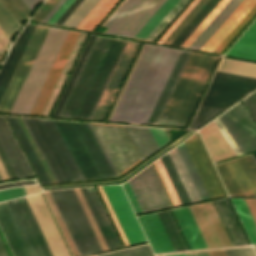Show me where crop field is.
I'll return each mask as SVG.
<instances>
[{"label": "crop field", "instance_id": "8a807250", "mask_svg": "<svg viewBox=\"0 0 256 256\" xmlns=\"http://www.w3.org/2000/svg\"><path fill=\"white\" fill-rule=\"evenodd\" d=\"M179 52L144 44L106 121L145 124Z\"/></svg>", "mask_w": 256, "mask_h": 256}, {"label": "crop field", "instance_id": "ac0d7876", "mask_svg": "<svg viewBox=\"0 0 256 256\" xmlns=\"http://www.w3.org/2000/svg\"><path fill=\"white\" fill-rule=\"evenodd\" d=\"M41 122L73 180L117 176L89 124Z\"/></svg>", "mask_w": 256, "mask_h": 256}, {"label": "crop field", "instance_id": "34b2d1b8", "mask_svg": "<svg viewBox=\"0 0 256 256\" xmlns=\"http://www.w3.org/2000/svg\"><path fill=\"white\" fill-rule=\"evenodd\" d=\"M125 43L96 37L58 116L91 117Z\"/></svg>", "mask_w": 256, "mask_h": 256}, {"label": "crop field", "instance_id": "412701ff", "mask_svg": "<svg viewBox=\"0 0 256 256\" xmlns=\"http://www.w3.org/2000/svg\"><path fill=\"white\" fill-rule=\"evenodd\" d=\"M220 118L238 155L256 150V124L241 102ZM220 118L199 130L214 162L237 155Z\"/></svg>", "mask_w": 256, "mask_h": 256}, {"label": "crop field", "instance_id": "f4fd0767", "mask_svg": "<svg viewBox=\"0 0 256 256\" xmlns=\"http://www.w3.org/2000/svg\"><path fill=\"white\" fill-rule=\"evenodd\" d=\"M216 59L191 54L158 124L185 126Z\"/></svg>", "mask_w": 256, "mask_h": 256}, {"label": "crop field", "instance_id": "dd49c442", "mask_svg": "<svg viewBox=\"0 0 256 256\" xmlns=\"http://www.w3.org/2000/svg\"><path fill=\"white\" fill-rule=\"evenodd\" d=\"M68 32L50 29L9 113L29 114Z\"/></svg>", "mask_w": 256, "mask_h": 256}, {"label": "crop field", "instance_id": "e52e79f7", "mask_svg": "<svg viewBox=\"0 0 256 256\" xmlns=\"http://www.w3.org/2000/svg\"><path fill=\"white\" fill-rule=\"evenodd\" d=\"M80 255L102 251L72 189L49 191Z\"/></svg>", "mask_w": 256, "mask_h": 256}, {"label": "crop field", "instance_id": "d8731c3e", "mask_svg": "<svg viewBox=\"0 0 256 256\" xmlns=\"http://www.w3.org/2000/svg\"><path fill=\"white\" fill-rule=\"evenodd\" d=\"M91 126L117 174L140 159L124 127Z\"/></svg>", "mask_w": 256, "mask_h": 256}, {"label": "crop field", "instance_id": "5a996713", "mask_svg": "<svg viewBox=\"0 0 256 256\" xmlns=\"http://www.w3.org/2000/svg\"><path fill=\"white\" fill-rule=\"evenodd\" d=\"M251 157L256 163L253 154ZM251 157L248 155L215 166L229 195L256 196V164Z\"/></svg>", "mask_w": 256, "mask_h": 256}, {"label": "crop field", "instance_id": "3316defc", "mask_svg": "<svg viewBox=\"0 0 256 256\" xmlns=\"http://www.w3.org/2000/svg\"><path fill=\"white\" fill-rule=\"evenodd\" d=\"M49 28L37 25L29 43L21 57V60L12 76V79L0 102V112L8 113L28 72L29 69L48 33Z\"/></svg>", "mask_w": 256, "mask_h": 256}, {"label": "crop field", "instance_id": "28ad6ade", "mask_svg": "<svg viewBox=\"0 0 256 256\" xmlns=\"http://www.w3.org/2000/svg\"><path fill=\"white\" fill-rule=\"evenodd\" d=\"M128 183L143 212L171 206L152 165Z\"/></svg>", "mask_w": 256, "mask_h": 256}, {"label": "crop field", "instance_id": "d1516ede", "mask_svg": "<svg viewBox=\"0 0 256 256\" xmlns=\"http://www.w3.org/2000/svg\"><path fill=\"white\" fill-rule=\"evenodd\" d=\"M189 210L208 248L232 246L211 202Z\"/></svg>", "mask_w": 256, "mask_h": 256}, {"label": "crop field", "instance_id": "22f410ed", "mask_svg": "<svg viewBox=\"0 0 256 256\" xmlns=\"http://www.w3.org/2000/svg\"><path fill=\"white\" fill-rule=\"evenodd\" d=\"M130 245L146 241L120 185L102 186Z\"/></svg>", "mask_w": 256, "mask_h": 256}, {"label": "crop field", "instance_id": "cbeb9de0", "mask_svg": "<svg viewBox=\"0 0 256 256\" xmlns=\"http://www.w3.org/2000/svg\"><path fill=\"white\" fill-rule=\"evenodd\" d=\"M139 44L128 41L90 120L102 121Z\"/></svg>", "mask_w": 256, "mask_h": 256}, {"label": "crop field", "instance_id": "5142ce71", "mask_svg": "<svg viewBox=\"0 0 256 256\" xmlns=\"http://www.w3.org/2000/svg\"><path fill=\"white\" fill-rule=\"evenodd\" d=\"M184 144L190 154V157L197 169V172L209 197L213 198L225 195L196 135H193L184 141Z\"/></svg>", "mask_w": 256, "mask_h": 256}, {"label": "crop field", "instance_id": "d9b57169", "mask_svg": "<svg viewBox=\"0 0 256 256\" xmlns=\"http://www.w3.org/2000/svg\"><path fill=\"white\" fill-rule=\"evenodd\" d=\"M166 0H142L112 34L132 39Z\"/></svg>", "mask_w": 256, "mask_h": 256}, {"label": "crop field", "instance_id": "733c2abd", "mask_svg": "<svg viewBox=\"0 0 256 256\" xmlns=\"http://www.w3.org/2000/svg\"><path fill=\"white\" fill-rule=\"evenodd\" d=\"M78 34L77 32H69L29 115H40Z\"/></svg>", "mask_w": 256, "mask_h": 256}, {"label": "crop field", "instance_id": "4a817a6b", "mask_svg": "<svg viewBox=\"0 0 256 256\" xmlns=\"http://www.w3.org/2000/svg\"><path fill=\"white\" fill-rule=\"evenodd\" d=\"M0 230L13 256H31L6 202L0 203Z\"/></svg>", "mask_w": 256, "mask_h": 256}, {"label": "crop field", "instance_id": "bc2a9ffb", "mask_svg": "<svg viewBox=\"0 0 256 256\" xmlns=\"http://www.w3.org/2000/svg\"><path fill=\"white\" fill-rule=\"evenodd\" d=\"M0 144L17 178L33 176L2 117H0Z\"/></svg>", "mask_w": 256, "mask_h": 256}, {"label": "crop field", "instance_id": "214f88e0", "mask_svg": "<svg viewBox=\"0 0 256 256\" xmlns=\"http://www.w3.org/2000/svg\"><path fill=\"white\" fill-rule=\"evenodd\" d=\"M137 219L154 253L174 251L156 213Z\"/></svg>", "mask_w": 256, "mask_h": 256}, {"label": "crop field", "instance_id": "92a150f3", "mask_svg": "<svg viewBox=\"0 0 256 256\" xmlns=\"http://www.w3.org/2000/svg\"><path fill=\"white\" fill-rule=\"evenodd\" d=\"M36 25L27 24L13 44L0 71V99Z\"/></svg>", "mask_w": 256, "mask_h": 256}, {"label": "crop field", "instance_id": "dafd665d", "mask_svg": "<svg viewBox=\"0 0 256 256\" xmlns=\"http://www.w3.org/2000/svg\"><path fill=\"white\" fill-rule=\"evenodd\" d=\"M255 3L256 0H243L200 50L212 53Z\"/></svg>", "mask_w": 256, "mask_h": 256}, {"label": "crop field", "instance_id": "00972430", "mask_svg": "<svg viewBox=\"0 0 256 256\" xmlns=\"http://www.w3.org/2000/svg\"><path fill=\"white\" fill-rule=\"evenodd\" d=\"M189 54V52H180L146 124L156 125Z\"/></svg>", "mask_w": 256, "mask_h": 256}, {"label": "crop field", "instance_id": "a9b5d70f", "mask_svg": "<svg viewBox=\"0 0 256 256\" xmlns=\"http://www.w3.org/2000/svg\"><path fill=\"white\" fill-rule=\"evenodd\" d=\"M189 208V207H188ZM187 207L171 210L190 250L207 248Z\"/></svg>", "mask_w": 256, "mask_h": 256}, {"label": "crop field", "instance_id": "4177f3b9", "mask_svg": "<svg viewBox=\"0 0 256 256\" xmlns=\"http://www.w3.org/2000/svg\"><path fill=\"white\" fill-rule=\"evenodd\" d=\"M232 245L248 244L226 199L212 202Z\"/></svg>", "mask_w": 256, "mask_h": 256}, {"label": "crop field", "instance_id": "730fd06b", "mask_svg": "<svg viewBox=\"0 0 256 256\" xmlns=\"http://www.w3.org/2000/svg\"><path fill=\"white\" fill-rule=\"evenodd\" d=\"M17 138L19 139L29 161L31 162L41 184L51 183L48 175L46 174L42 164L40 163L37 155L35 154L32 146L30 145L27 137L25 136L21 126L19 125L16 117L7 116Z\"/></svg>", "mask_w": 256, "mask_h": 256}, {"label": "crop field", "instance_id": "eef30255", "mask_svg": "<svg viewBox=\"0 0 256 256\" xmlns=\"http://www.w3.org/2000/svg\"><path fill=\"white\" fill-rule=\"evenodd\" d=\"M226 55L256 61V20Z\"/></svg>", "mask_w": 256, "mask_h": 256}, {"label": "crop field", "instance_id": "ae1a2a85", "mask_svg": "<svg viewBox=\"0 0 256 256\" xmlns=\"http://www.w3.org/2000/svg\"><path fill=\"white\" fill-rule=\"evenodd\" d=\"M241 1L242 0H230L188 48L199 50Z\"/></svg>", "mask_w": 256, "mask_h": 256}, {"label": "crop field", "instance_id": "d3111659", "mask_svg": "<svg viewBox=\"0 0 256 256\" xmlns=\"http://www.w3.org/2000/svg\"><path fill=\"white\" fill-rule=\"evenodd\" d=\"M117 1L118 0H100L76 28L92 31Z\"/></svg>", "mask_w": 256, "mask_h": 256}, {"label": "crop field", "instance_id": "750c4746", "mask_svg": "<svg viewBox=\"0 0 256 256\" xmlns=\"http://www.w3.org/2000/svg\"><path fill=\"white\" fill-rule=\"evenodd\" d=\"M168 154H169V156H170V158L180 176V179H181L191 201L194 202V201L201 200L189 175H188V172H187L176 148L169 151Z\"/></svg>", "mask_w": 256, "mask_h": 256}, {"label": "crop field", "instance_id": "bd1437ed", "mask_svg": "<svg viewBox=\"0 0 256 256\" xmlns=\"http://www.w3.org/2000/svg\"><path fill=\"white\" fill-rule=\"evenodd\" d=\"M37 256H46L19 199L11 201Z\"/></svg>", "mask_w": 256, "mask_h": 256}, {"label": "crop field", "instance_id": "1d83c4d3", "mask_svg": "<svg viewBox=\"0 0 256 256\" xmlns=\"http://www.w3.org/2000/svg\"><path fill=\"white\" fill-rule=\"evenodd\" d=\"M252 244H256V225L243 199L230 198Z\"/></svg>", "mask_w": 256, "mask_h": 256}, {"label": "crop field", "instance_id": "120bbe31", "mask_svg": "<svg viewBox=\"0 0 256 256\" xmlns=\"http://www.w3.org/2000/svg\"><path fill=\"white\" fill-rule=\"evenodd\" d=\"M178 1L179 0H167L157 11V13L150 19V21L143 27V29L136 35L135 39L144 40Z\"/></svg>", "mask_w": 256, "mask_h": 256}, {"label": "crop field", "instance_id": "d32e631a", "mask_svg": "<svg viewBox=\"0 0 256 256\" xmlns=\"http://www.w3.org/2000/svg\"><path fill=\"white\" fill-rule=\"evenodd\" d=\"M89 194H90V196H91V198H92V200L95 204V207H96V209H97V211H98V213H99V215L102 219V222H103V224H104V226H105V228L108 232V235H109L114 247L115 248L121 247L122 245H121V243H120V241H119V239L116 235V232H115V230H114V228H113V226H112V224L109 220V217H108V215H107V213H106V211L103 207V204H102L97 192L94 191V192H90Z\"/></svg>", "mask_w": 256, "mask_h": 256}, {"label": "crop field", "instance_id": "5866460e", "mask_svg": "<svg viewBox=\"0 0 256 256\" xmlns=\"http://www.w3.org/2000/svg\"><path fill=\"white\" fill-rule=\"evenodd\" d=\"M0 28L11 40L20 28V25L0 1Z\"/></svg>", "mask_w": 256, "mask_h": 256}, {"label": "crop field", "instance_id": "028f5c9d", "mask_svg": "<svg viewBox=\"0 0 256 256\" xmlns=\"http://www.w3.org/2000/svg\"><path fill=\"white\" fill-rule=\"evenodd\" d=\"M99 0H84L72 15L62 25L64 27L75 28L88 12L97 4Z\"/></svg>", "mask_w": 256, "mask_h": 256}, {"label": "crop field", "instance_id": "e1f06a70", "mask_svg": "<svg viewBox=\"0 0 256 256\" xmlns=\"http://www.w3.org/2000/svg\"><path fill=\"white\" fill-rule=\"evenodd\" d=\"M193 132H194V131L188 132L186 135H184L183 137H181L180 139H178L176 142H174L173 144H171L170 146H168L166 149H164L163 151H161V152H160L159 154H157L155 157H153L152 159H150V160L147 161L146 163L142 164L141 166H139L138 168H136L135 170H133L132 172H130L129 174H127L125 177H123V178L120 179V180L104 181V182H93V183H82V184H72V185H62V186H53V187H45V188H42V190L122 182V181H124L125 179H127L129 176H131L132 174H134L135 172H137L138 170H140L142 167H144L145 165H147L148 163H150L151 161H153L155 158H157L158 156H160L161 154H163L165 151H167L168 149H170L171 147H173L174 145H176L178 142H180L181 140H183L184 138H186L187 136H189V135H190L191 133H193Z\"/></svg>", "mask_w": 256, "mask_h": 256}, {"label": "crop field", "instance_id": "0bd39190", "mask_svg": "<svg viewBox=\"0 0 256 256\" xmlns=\"http://www.w3.org/2000/svg\"><path fill=\"white\" fill-rule=\"evenodd\" d=\"M256 15V4L246 14V16L239 22V24L231 31V33L223 40V42L216 48L213 53L221 54L224 49L232 42V40L241 32V30L249 23V21Z\"/></svg>", "mask_w": 256, "mask_h": 256}, {"label": "crop field", "instance_id": "b80d0937", "mask_svg": "<svg viewBox=\"0 0 256 256\" xmlns=\"http://www.w3.org/2000/svg\"><path fill=\"white\" fill-rule=\"evenodd\" d=\"M223 109L208 107L201 105L191 126L190 129H197L200 126H202L204 123L218 115L220 112H222Z\"/></svg>", "mask_w": 256, "mask_h": 256}, {"label": "crop field", "instance_id": "c035e120", "mask_svg": "<svg viewBox=\"0 0 256 256\" xmlns=\"http://www.w3.org/2000/svg\"><path fill=\"white\" fill-rule=\"evenodd\" d=\"M94 38H95V36H93V35L90 36V38H89V40H88V42H87V44H86V46H85V48L83 50V53H82V55H81L77 65L75 67V70H74V72H73V74H72V76H71V78H70V80L68 82V85H67V87H66V89H65V91H64V93H63V95H62V97L60 99V102H59V104H58V106H57V108H56V110H55V112H54L52 117H56L57 116V114H58V112H59V110H60V108H61V106H62V104H63V102H64V100H65V98H66V96H67V94H68V92H69L73 82H74V80H75V78H76V75H77V73H78V71H79V69H80V67H81V65H82V63H83V61H84V59L86 57V54H87V52H88V50H89V48H90Z\"/></svg>", "mask_w": 256, "mask_h": 256}, {"label": "crop field", "instance_id": "c21b1889", "mask_svg": "<svg viewBox=\"0 0 256 256\" xmlns=\"http://www.w3.org/2000/svg\"><path fill=\"white\" fill-rule=\"evenodd\" d=\"M188 1L189 0H180L176 4V6L169 12V14L162 20V22L155 28V30L148 36L146 41L153 42Z\"/></svg>", "mask_w": 256, "mask_h": 256}, {"label": "crop field", "instance_id": "03da06ac", "mask_svg": "<svg viewBox=\"0 0 256 256\" xmlns=\"http://www.w3.org/2000/svg\"><path fill=\"white\" fill-rule=\"evenodd\" d=\"M209 0H201L195 8L187 15V17L180 23V25L173 31V33L166 39L163 44L170 45L173 40L181 33V31L189 24V22L197 15V13L205 6Z\"/></svg>", "mask_w": 256, "mask_h": 256}, {"label": "crop field", "instance_id": "b54c1fbb", "mask_svg": "<svg viewBox=\"0 0 256 256\" xmlns=\"http://www.w3.org/2000/svg\"><path fill=\"white\" fill-rule=\"evenodd\" d=\"M228 1L229 0H221L220 3L213 9V11L206 17V19L199 25V27L197 26L198 28L192 33V35L190 34L191 36L185 41V43H182V46L188 47Z\"/></svg>", "mask_w": 256, "mask_h": 256}, {"label": "crop field", "instance_id": "5d738f31", "mask_svg": "<svg viewBox=\"0 0 256 256\" xmlns=\"http://www.w3.org/2000/svg\"><path fill=\"white\" fill-rule=\"evenodd\" d=\"M97 256H153L148 245L111 252Z\"/></svg>", "mask_w": 256, "mask_h": 256}, {"label": "crop field", "instance_id": "d23c7cc5", "mask_svg": "<svg viewBox=\"0 0 256 256\" xmlns=\"http://www.w3.org/2000/svg\"><path fill=\"white\" fill-rule=\"evenodd\" d=\"M109 249L114 248L85 188H80Z\"/></svg>", "mask_w": 256, "mask_h": 256}, {"label": "crop field", "instance_id": "425ffa30", "mask_svg": "<svg viewBox=\"0 0 256 256\" xmlns=\"http://www.w3.org/2000/svg\"><path fill=\"white\" fill-rule=\"evenodd\" d=\"M20 200H21V202H22V204H23V206H24V208H25V210H26V212L28 214V217H29V219H30V221H31L35 231H36V234H37V236H38V238H39V240H40V242H41V244L43 246V249H44L46 255L47 256H53L51 251H50V249H49V247H48V245H47V243H46V241H45V239H44V237H43V235H42V233H41V231H40V228H39V226H38V224H37V222H36L32 212H31V210H30V208H29V206H28V204H27V202L25 200V198L23 197Z\"/></svg>", "mask_w": 256, "mask_h": 256}, {"label": "crop field", "instance_id": "25e5ab78", "mask_svg": "<svg viewBox=\"0 0 256 256\" xmlns=\"http://www.w3.org/2000/svg\"><path fill=\"white\" fill-rule=\"evenodd\" d=\"M27 195L23 187L12 188L0 191V201L17 198Z\"/></svg>", "mask_w": 256, "mask_h": 256}, {"label": "crop field", "instance_id": "73cf0c24", "mask_svg": "<svg viewBox=\"0 0 256 256\" xmlns=\"http://www.w3.org/2000/svg\"><path fill=\"white\" fill-rule=\"evenodd\" d=\"M139 1L140 0H133L118 17V19L109 27L105 34L111 35L115 28L123 21V19L130 13V11L138 4Z\"/></svg>", "mask_w": 256, "mask_h": 256}, {"label": "crop field", "instance_id": "89e229c0", "mask_svg": "<svg viewBox=\"0 0 256 256\" xmlns=\"http://www.w3.org/2000/svg\"><path fill=\"white\" fill-rule=\"evenodd\" d=\"M149 130L157 142L159 148L169 142L163 129L149 128Z\"/></svg>", "mask_w": 256, "mask_h": 256}, {"label": "crop field", "instance_id": "1f2cbd36", "mask_svg": "<svg viewBox=\"0 0 256 256\" xmlns=\"http://www.w3.org/2000/svg\"><path fill=\"white\" fill-rule=\"evenodd\" d=\"M200 0H195L190 7L182 14V16L175 22V24L168 30V32L161 38V40L158 42L159 44H162L163 41L171 34V32L179 25V23L186 17V15L194 8V6L199 2Z\"/></svg>", "mask_w": 256, "mask_h": 256}, {"label": "crop field", "instance_id": "dbb93151", "mask_svg": "<svg viewBox=\"0 0 256 256\" xmlns=\"http://www.w3.org/2000/svg\"><path fill=\"white\" fill-rule=\"evenodd\" d=\"M58 0H48L33 16L32 19L40 21Z\"/></svg>", "mask_w": 256, "mask_h": 256}, {"label": "crop field", "instance_id": "0fb4a251", "mask_svg": "<svg viewBox=\"0 0 256 256\" xmlns=\"http://www.w3.org/2000/svg\"><path fill=\"white\" fill-rule=\"evenodd\" d=\"M122 187H123V189H124L128 199H129V201H130V203H131L135 213H140L141 209H140V207H139V205H138V203H137V201H136V199H135V197H134V195H133V193H132L128 183L123 184Z\"/></svg>", "mask_w": 256, "mask_h": 256}, {"label": "crop field", "instance_id": "1d79db26", "mask_svg": "<svg viewBox=\"0 0 256 256\" xmlns=\"http://www.w3.org/2000/svg\"><path fill=\"white\" fill-rule=\"evenodd\" d=\"M83 0H75L54 25L61 26Z\"/></svg>", "mask_w": 256, "mask_h": 256}, {"label": "crop field", "instance_id": "9d1cf04e", "mask_svg": "<svg viewBox=\"0 0 256 256\" xmlns=\"http://www.w3.org/2000/svg\"><path fill=\"white\" fill-rule=\"evenodd\" d=\"M7 203H8V205H9V207H10V209H11V211H12L14 217H15V220H16V222H17V224H18V226H19V228H20V230H21V232H22V234H23V237H24V239H25V241H26V243H27V245H28V247H29V249H30V252H31L32 256H36L35 253H34V251H33L32 246H31V244H30V242H29V240H28V238H27V236H26V234H25V231H24V229H23V227H22V225H21V223H20V221H19V219H18V216H17V214H16V212H15V210H14L12 204H11V202L8 201Z\"/></svg>", "mask_w": 256, "mask_h": 256}, {"label": "crop field", "instance_id": "447ae74e", "mask_svg": "<svg viewBox=\"0 0 256 256\" xmlns=\"http://www.w3.org/2000/svg\"><path fill=\"white\" fill-rule=\"evenodd\" d=\"M74 0H67L60 8L59 10L50 18V20L47 22V24L53 25L56 20L63 14V12L70 6V4Z\"/></svg>", "mask_w": 256, "mask_h": 256}, {"label": "crop field", "instance_id": "0765c3eb", "mask_svg": "<svg viewBox=\"0 0 256 256\" xmlns=\"http://www.w3.org/2000/svg\"><path fill=\"white\" fill-rule=\"evenodd\" d=\"M11 2L16 6V8L21 12V14L28 19L30 18L28 15L31 13L29 9L24 5L21 0H11Z\"/></svg>", "mask_w": 256, "mask_h": 256}, {"label": "crop field", "instance_id": "db79e9e6", "mask_svg": "<svg viewBox=\"0 0 256 256\" xmlns=\"http://www.w3.org/2000/svg\"><path fill=\"white\" fill-rule=\"evenodd\" d=\"M0 159H1L2 163H3V165H4V168H5L8 176H9V178L10 179L16 178L14 173H13V171H12V169H11V167H10V165H9V163H8V161H7V159H6V156H5L1 146H0Z\"/></svg>", "mask_w": 256, "mask_h": 256}, {"label": "crop field", "instance_id": "7b73153f", "mask_svg": "<svg viewBox=\"0 0 256 256\" xmlns=\"http://www.w3.org/2000/svg\"><path fill=\"white\" fill-rule=\"evenodd\" d=\"M2 2L7 6V8L11 11V13L15 16V18L21 22L23 21L22 15L18 12V10L13 6V4L9 0H2Z\"/></svg>", "mask_w": 256, "mask_h": 256}, {"label": "crop field", "instance_id": "78b8030e", "mask_svg": "<svg viewBox=\"0 0 256 256\" xmlns=\"http://www.w3.org/2000/svg\"><path fill=\"white\" fill-rule=\"evenodd\" d=\"M132 0H126L121 7L110 17V19L103 25L104 27L108 28L110 24L117 18V16L125 9V7L131 2Z\"/></svg>", "mask_w": 256, "mask_h": 256}, {"label": "crop field", "instance_id": "0f1d7ab4", "mask_svg": "<svg viewBox=\"0 0 256 256\" xmlns=\"http://www.w3.org/2000/svg\"><path fill=\"white\" fill-rule=\"evenodd\" d=\"M256 223V199H244Z\"/></svg>", "mask_w": 256, "mask_h": 256}, {"label": "crop field", "instance_id": "e1d0b9f6", "mask_svg": "<svg viewBox=\"0 0 256 256\" xmlns=\"http://www.w3.org/2000/svg\"><path fill=\"white\" fill-rule=\"evenodd\" d=\"M66 0H60L53 8L52 10L45 16V18L41 21L43 23H46L49 18L58 10V8L65 2Z\"/></svg>", "mask_w": 256, "mask_h": 256}, {"label": "crop field", "instance_id": "ae633e8c", "mask_svg": "<svg viewBox=\"0 0 256 256\" xmlns=\"http://www.w3.org/2000/svg\"><path fill=\"white\" fill-rule=\"evenodd\" d=\"M227 256H245L241 248L224 250Z\"/></svg>", "mask_w": 256, "mask_h": 256}, {"label": "crop field", "instance_id": "d14b1444", "mask_svg": "<svg viewBox=\"0 0 256 256\" xmlns=\"http://www.w3.org/2000/svg\"><path fill=\"white\" fill-rule=\"evenodd\" d=\"M25 5L30 9L32 12L34 8L38 5V3L41 1L43 3L44 0H22Z\"/></svg>", "mask_w": 256, "mask_h": 256}, {"label": "crop field", "instance_id": "c39391a2", "mask_svg": "<svg viewBox=\"0 0 256 256\" xmlns=\"http://www.w3.org/2000/svg\"><path fill=\"white\" fill-rule=\"evenodd\" d=\"M210 256H226L223 250L208 252Z\"/></svg>", "mask_w": 256, "mask_h": 256}, {"label": "crop field", "instance_id": "ade564c9", "mask_svg": "<svg viewBox=\"0 0 256 256\" xmlns=\"http://www.w3.org/2000/svg\"><path fill=\"white\" fill-rule=\"evenodd\" d=\"M0 256H7L0 242Z\"/></svg>", "mask_w": 256, "mask_h": 256}, {"label": "crop field", "instance_id": "c5b07064", "mask_svg": "<svg viewBox=\"0 0 256 256\" xmlns=\"http://www.w3.org/2000/svg\"><path fill=\"white\" fill-rule=\"evenodd\" d=\"M168 256H186L185 254H180V255H168Z\"/></svg>", "mask_w": 256, "mask_h": 256}, {"label": "crop field", "instance_id": "c3a83c6f", "mask_svg": "<svg viewBox=\"0 0 256 256\" xmlns=\"http://www.w3.org/2000/svg\"><path fill=\"white\" fill-rule=\"evenodd\" d=\"M1 180V179H0Z\"/></svg>", "mask_w": 256, "mask_h": 256}]
</instances>
